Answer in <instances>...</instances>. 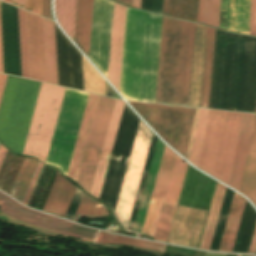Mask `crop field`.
<instances>
[{
    "label": "crop field",
    "mask_w": 256,
    "mask_h": 256,
    "mask_svg": "<svg viewBox=\"0 0 256 256\" xmlns=\"http://www.w3.org/2000/svg\"><path fill=\"white\" fill-rule=\"evenodd\" d=\"M162 16L127 8L120 93L154 102Z\"/></svg>",
    "instance_id": "1"
},
{
    "label": "crop field",
    "mask_w": 256,
    "mask_h": 256,
    "mask_svg": "<svg viewBox=\"0 0 256 256\" xmlns=\"http://www.w3.org/2000/svg\"><path fill=\"white\" fill-rule=\"evenodd\" d=\"M195 29L163 16L155 102L188 105Z\"/></svg>",
    "instance_id": "2"
},
{
    "label": "crop field",
    "mask_w": 256,
    "mask_h": 256,
    "mask_svg": "<svg viewBox=\"0 0 256 256\" xmlns=\"http://www.w3.org/2000/svg\"><path fill=\"white\" fill-rule=\"evenodd\" d=\"M40 84L7 77L0 103V140L15 153H22Z\"/></svg>",
    "instance_id": "3"
},
{
    "label": "crop field",
    "mask_w": 256,
    "mask_h": 256,
    "mask_svg": "<svg viewBox=\"0 0 256 256\" xmlns=\"http://www.w3.org/2000/svg\"><path fill=\"white\" fill-rule=\"evenodd\" d=\"M242 113L210 110L198 168L228 183Z\"/></svg>",
    "instance_id": "4"
},
{
    "label": "crop field",
    "mask_w": 256,
    "mask_h": 256,
    "mask_svg": "<svg viewBox=\"0 0 256 256\" xmlns=\"http://www.w3.org/2000/svg\"><path fill=\"white\" fill-rule=\"evenodd\" d=\"M65 89L41 84L22 154L46 162Z\"/></svg>",
    "instance_id": "5"
},
{
    "label": "crop field",
    "mask_w": 256,
    "mask_h": 256,
    "mask_svg": "<svg viewBox=\"0 0 256 256\" xmlns=\"http://www.w3.org/2000/svg\"><path fill=\"white\" fill-rule=\"evenodd\" d=\"M129 103L171 147L186 156L196 109Z\"/></svg>",
    "instance_id": "6"
},
{
    "label": "crop field",
    "mask_w": 256,
    "mask_h": 256,
    "mask_svg": "<svg viewBox=\"0 0 256 256\" xmlns=\"http://www.w3.org/2000/svg\"><path fill=\"white\" fill-rule=\"evenodd\" d=\"M87 95V93L66 89L46 162V164L57 166L64 175H66Z\"/></svg>",
    "instance_id": "7"
},
{
    "label": "crop field",
    "mask_w": 256,
    "mask_h": 256,
    "mask_svg": "<svg viewBox=\"0 0 256 256\" xmlns=\"http://www.w3.org/2000/svg\"><path fill=\"white\" fill-rule=\"evenodd\" d=\"M153 133L139 121L114 215L127 228Z\"/></svg>",
    "instance_id": "8"
},
{
    "label": "crop field",
    "mask_w": 256,
    "mask_h": 256,
    "mask_svg": "<svg viewBox=\"0 0 256 256\" xmlns=\"http://www.w3.org/2000/svg\"><path fill=\"white\" fill-rule=\"evenodd\" d=\"M115 99L99 97L76 182L90 193Z\"/></svg>",
    "instance_id": "9"
},
{
    "label": "crop field",
    "mask_w": 256,
    "mask_h": 256,
    "mask_svg": "<svg viewBox=\"0 0 256 256\" xmlns=\"http://www.w3.org/2000/svg\"><path fill=\"white\" fill-rule=\"evenodd\" d=\"M0 210L9 216H12L25 223L34 224L59 234H64L80 239L82 237L92 239L93 233L95 231L40 212L24 208L2 193H0Z\"/></svg>",
    "instance_id": "10"
},
{
    "label": "crop field",
    "mask_w": 256,
    "mask_h": 256,
    "mask_svg": "<svg viewBox=\"0 0 256 256\" xmlns=\"http://www.w3.org/2000/svg\"><path fill=\"white\" fill-rule=\"evenodd\" d=\"M113 3L94 0L89 58L106 77Z\"/></svg>",
    "instance_id": "11"
},
{
    "label": "crop field",
    "mask_w": 256,
    "mask_h": 256,
    "mask_svg": "<svg viewBox=\"0 0 256 256\" xmlns=\"http://www.w3.org/2000/svg\"><path fill=\"white\" fill-rule=\"evenodd\" d=\"M4 73L21 77L17 8L0 1Z\"/></svg>",
    "instance_id": "12"
},
{
    "label": "crop field",
    "mask_w": 256,
    "mask_h": 256,
    "mask_svg": "<svg viewBox=\"0 0 256 256\" xmlns=\"http://www.w3.org/2000/svg\"><path fill=\"white\" fill-rule=\"evenodd\" d=\"M188 164L176 156L154 239L167 242Z\"/></svg>",
    "instance_id": "13"
},
{
    "label": "crop field",
    "mask_w": 256,
    "mask_h": 256,
    "mask_svg": "<svg viewBox=\"0 0 256 256\" xmlns=\"http://www.w3.org/2000/svg\"><path fill=\"white\" fill-rule=\"evenodd\" d=\"M30 78L46 82L42 18L26 11Z\"/></svg>",
    "instance_id": "14"
},
{
    "label": "crop field",
    "mask_w": 256,
    "mask_h": 256,
    "mask_svg": "<svg viewBox=\"0 0 256 256\" xmlns=\"http://www.w3.org/2000/svg\"><path fill=\"white\" fill-rule=\"evenodd\" d=\"M126 8L114 3L107 79L119 91Z\"/></svg>",
    "instance_id": "15"
},
{
    "label": "crop field",
    "mask_w": 256,
    "mask_h": 256,
    "mask_svg": "<svg viewBox=\"0 0 256 256\" xmlns=\"http://www.w3.org/2000/svg\"><path fill=\"white\" fill-rule=\"evenodd\" d=\"M175 156L176 154L172 150H170L167 146H165L164 154L162 157V161L160 164L159 172L157 175L156 183H155L151 201H150L154 203H159L151 236L154 235V231L156 228V224H157V220H158L161 206L163 203L164 195H165L170 174L172 171ZM154 203L149 204L148 212H147L143 230H142L143 234L150 235L151 233V229H152V225H153V221H154V217H155V213L158 205Z\"/></svg>",
    "instance_id": "16"
},
{
    "label": "crop field",
    "mask_w": 256,
    "mask_h": 256,
    "mask_svg": "<svg viewBox=\"0 0 256 256\" xmlns=\"http://www.w3.org/2000/svg\"><path fill=\"white\" fill-rule=\"evenodd\" d=\"M125 103L116 99L90 195L99 198Z\"/></svg>",
    "instance_id": "17"
},
{
    "label": "crop field",
    "mask_w": 256,
    "mask_h": 256,
    "mask_svg": "<svg viewBox=\"0 0 256 256\" xmlns=\"http://www.w3.org/2000/svg\"><path fill=\"white\" fill-rule=\"evenodd\" d=\"M255 115L243 113L228 186L238 190Z\"/></svg>",
    "instance_id": "18"
},
{
    "label": "crop field",
    "mask_w": 256,
    "mask_h": 256,
    "mask_svg": "<svg viewBox=\"0 0 256 256\" xmlns=\"http://www.w3.org/2000/svg\"><path fill=\"white\" fill-rule=\"evenodd\" d=\"M98 97L99 96L97 95H91V94L88 95L86 107L84 110L83 118L81 121L79 133L77 136L75 148L73 151L72 159H71L68 174H67V176L72 178L73 180H76V176H77L79 165L83 155L84 147L86 144V140L90 130L96 104L98 101Z\"/></svg>",
    "instance_id": "19"
},
{
    "label": "crop field",
    "mask_w": 256,
    "mask_h": 256,
    "mask_svg": "<svg viewBox=\"0 0 256 256\" xmlns=\"http://www.w3.org/2000/svg\"><path fill=\"white\" fill-rule=\"evenodd\" d=\"M76 187L58 173L43 210L65 216Z\"/></svg>",
    "instance_id": "20"
},
{
    "label": "crop field",
    "mask_w": 256,
    "mask_h": 256,
    "mask_svg": "<svg viewBox=\"0 0 256 256\" xmlns=\"http://www.w3.org/2000/svg\"><path fill=\"white\" fill-rule=\"evenodd\" d=\"M239 192L247 196L256 206V117Z\"/></svg>",
    "instance_id": "21"
},
{
    "label": "crop field",
    "mask_w": 256,
    "mask_h": 256,
    "mask_svg": "<svg viewBox=\"0 0 256 256\" xmlns=\"http://www.w3.org/2000/svg\"><path fill=\"white\" fill-rule=\"evenodd\" d=\"M93 0H77L74 42L88 56Z\"/></svg>",
    "instance_id": "22"
},
{
    "label": "crop field",
    "mask_w": 256,
    "mask_h": 256,
    "mask_svg": "<svg viewBox=\"0 0 256 256\" xmlns=\"http://www.w3.org/2000/svg\"><path fill=\"white\" fill-rule=\"evenodd\" d=\"M246 200L234 193L219 251L232 252Z\"/></svg>",
    "instance_id": "23"
},
{
    "label": "crop field",
    "mask_w": 256,
    "mask_h": 256,
    "mask_svg": "<svg viewBox=\"0 0 256 256\" xmlns=\"http://www.w3.org/2000/svg\"><path fill=\"white\" fill-rule=\"evenodd\" d=\"M214 38H215V29L206 26L205 52H204L200 102H199V107H204V108H208V103H209V93H210V83H211L213 53H214Z\"/></svg>",
    "instance_id": "24"
},
{
    "label": "crop field",
    "mask_w": 256,
    "mask_h": 256,
    "mask_svg": "<svg viewBox=\"0 0 256 256\" xmlns=\"http://www.w3.org/2000/svg\"><path fill=\"white\" fill-rule=\"evenodd\" d=\"M205 26L197 24L189 106L198 107Z\"/></svg>",
    "instance_id": "25"
},
{
    "label": "crop field",
    "mask_w": 256,
    "mask_h": 256,
    "mask_svg": "<svg viewBox=\"0 0 256 256\" xmlns=\"http://www.w3.org/2000/svg\"><path fill=\"white\" fill-rule=\"evenodd\" d=\"M225 189L226 187L222 186L219 183H216L214 195L212 198L211 206L209 209L207 221L205 224L204 232H203L200 247H199L201 249H207V250L210 249V245L213 238L218 215L220 212Z\"/></svg>",
    "instance_id": "26"
},
{
    "label": "crop field",
    "mask_w": 256,
    "mask_h": 256,
    "mask_svg": "<svg viewBox=\"0 0 256 256\" xmlns=\"http://www.w3.org/2000/svg\"><path fill=\"white\" fill-rule=\"evenodd\" d=\"M251 0H230L228 30L248 34Z\"/></svg>",
    "instance_id": "27"
},
{
    "label": "crop field",
    "mask_w": 256,
    "mask_h": 256,
    "mask_svg": "<svg viewBox=\"0 0 256 256\" xmlns=\"http://www.w3.org/2000/svg\"><path fill=\"white\" fill-rule=\"evenodd\" d=\"M47 82L57 85L54 23L43 18Z\"/></svg>",
    "instance_id": "28"
},
{
    "label": "crop field",
    "mask_w": 256,
    "mask_h": 256,
    "mask_svg": "<svg viewBox=\"0 0 256 256\" xmlns=\"http://www.w3.org/2000/svg\"><path fill=\"white\" fill-rule=\"evenodd\" d=\"M76 0H55V15L62 29L73 40Z\"/></svg>",
    "instance_id": "29"
},
{
    "label": "crop field",
    "mask_w": 256,
    "mask_h": 256,
    "mask_svg": "<svg viewBox=\"0 0 256 256\" xmlns=\"http://www.w3.org/2000/svg\"><path fill=\"white\" fill-rule=\"evenodd\" d=\"M38 161L25 158L10 195L22 201Z\"/></svg>",
    "instance_id": "30"
},
{
    "label": "crop field",
    "mask_w": 256,
    "mask_h": 256,
    "mask_svg": "<svg viewBox=\"0 0 256 256\" xmlns=\"http://www.w3.org/2000/svg\"><path fill=\"white\" fill-rule=\"evenodd\" d=\"M96 242L126 244V245H132V246H137L141 248L156 250L162 253L165 252L168 246L164 244L149 243V242H145V241H141L133 238L112 235L102 231H100Z\"/></svg>",
    "instance_id": "31"
},
{
    "label": "crop field",
    "mask_w": 256,
    "mask_h": 256,
    "mask_svg": "<svg viewBox=\"0 0 256 256\" xmlns=\"http://www.w3.org/2000/svg\"><path fill=\"white\" fill-rule=\"evenodd\" d=\"M84 90L106 95L105 80L82 56Z\"/></svg>",
    "instance_id": "32"
},
{
    "label": "crop field",
    "mask_w": 256,
    "mask_h": 256,
    "mask_svg": "<svg viewBox=\"0 0 256 256\" xmlns=\"http://www.w3.org/2000/svg\"><path fill=\"white\" fill-rule=\"evenodd\" d=\"M198 0H169L168 15L196 21Z\"/></svg>",
    "instance_id": "33"
},
{
    "label": "crop field",
    "mask_w": 256,
    "mask_h": 256,
    "mask_svg": "<svg viewBox=\"0 0 256 256\" xmlns=\"http://www.w3.org/2000/svg\"><path fill=\"white\" fill-rule=\"evenodd\" d=\"M209 110L200 109L189 161L198 165Z\"/></svg>",
    "instance_id": "34"
},
{
    "label": "crop field",
    "mask_w": 256,
    "mask_h": 256,
    "mask_svg": "<svg viewBox=\"0 0 256 256\" xmlns=\"http://www.w3.org/2000/svg\"><path fill=\"white\" fill-rule=\"evenodd\" d=\"M256 223V211L248 204L243 228L236 252L247 253Z\"/></svg>",
    "instance_id": "35"
},
{
    "label": "crop field",
    "mask_w": 256,
    "mask_h": 256,
    "mask_svg": "<svg viewBox=\"0 0 256 256\" xmlns=\"http://www.w3.org/2000/svg\"><path fill=\"white\" fill-rule=\"evenodd\" d=\"M80 215H87L89 217L110 216L106 207L86 194H83L73 220L77 222Z\"/></svg>",
    "instance_id": "36"
},
{
    "label": "crop field",
    "mask_w": 256,
    "mask_h": 256,
    "mask_svg": "<svg viewBox=\"0 0 256 256\" xmlns=\"http://www.w3.org/2000/svg\"><path fill=\"white\" fill-rule=\"evenodd\" d=\"M22 77L29 78L25 11L18 8Z\"/></svg>",
    "instance_id": "37"
},
{
    "label": "crop field",
    "mask_w": 256,
    "mask_h": 256,
    "mask_svg": "<svg viewBox=\"0 0 256 256\" xmlns=\"http://www.w3.org/2000/svg\"><path fill=\"white\" fill-rule=\"evenodd\" d=\"M156 139H157V137L155 135H153V139H152V142H151L150 150H149V153H148V157H147V160H146V164H145V167H144L143 175H142V178H141V182H140V185H139L138 193H137V196H136V200H135V203H134V207H133L131 218H130L129 225H128V230H131V231L133 230L135 218H136L138 207H139V203H140V200H141V196H142L144 184H145V181H146L148 169H149V166H150L152 154H153V151H154Z\"/></svg>",
    "instance_id": "38"
},
{
    "label": "crop field",
    "mask_w": 256,
    "mask_h": 256,
    "mask_svg": "<svg viewBox=\"0 0 256 256\" xmlns=\"http://www.w3.org/2000/svg\"><path fill=\"white\" fill-rule=\"evenodd\" d=\"M219 1L205 0L203 23L218 28Z\"/></svg>",
    "instance_id": "39"
},
{
    "label": "crop field",
    "mask_w": 256,
    "mask_h": 256,
    "mask_svg": "<svg viewBox=\"0 0 256 256\" xmlns=\"http://www.w3.org/2000/svg\"><path fill=\"white\" fill-rule=\"evenodd\" d=\"M42 166H43V164L38 163L37 168H36V170H35V172H34V175H33V177H32V180H31V182H30V184H29V187H28V189H27V192H26V194H25V196H24V199H23V201H22V202L25 203V204H28V202H29V199H30V197H31L32 191H33V189H34V186H35V184H36V181H37V179H38V176H39V173H40V171H41Z\"/></svg>",
    "instance_id": "40"
},
{
    "label": "crop field",
    "mask_w": 256,
    "mask_h": 256,
    "mask_svg": "<svg viewBox=\"0 0 256 256\" xmlns=\"http://www.w3.org/2000/svg\"><path fill=\"white\" fill-rule=\"evenodd\" d=\"M249 34L256 35V0L251 1Z\"/></svg>",
    "instance_id": "41"
},
{
    "label": "crop field",
    "mask_w": 256,
    "mask_h": 256,
    "mask_svg": "<svg viewBox=\"0 0 256 256\" xmlns=\"http://www.w3.org/2000/svg\"><path fill=\"white\" fill-rule=\"evenodd\" d=\"M42 16L52 20L50 15V0H43Z\"/></svg>",
    "instance_id": "42"
},
{
    "label": "crop field",
    "mask_w": 256,
    "mask_h": 256,
    "mask_svg": "<svg viewBox=\"0 0 256 256\" xmlns=\"http://www.w3.org/2000/svg\"><path fill=\"white\" fill-rule=\"evenodd\" d=\"M42 0H33L32 12L41 16Z\"/></svg>",
    "instance_id": "43"
},
{
    "label": "crop field",
    "mask_w": 256,
    "mask_h": 256,
    "mask_svg": "<svg viewBox=\"0 0 256 256\" xmlns=\"http://www.w3.org/2000/svg\"><path fill=\"white\" fill-rule=\"evenodd\" d=\"M248 253H255L256 254V227H255V230H254L253 238H252L251 245H250Z\"/></svg>",
    "instance_id": "44"
},
{
    "label": "crop field",
    "mask_w": 256,
    "mask_h": 256,
    "mask_svg": "<svg viewBox=\"0 0 256 256\" xmlns=\"http://www.w3.org/2000/svg\"><path fill=\"white\" fill-rule=\"evenodd\" d=\"M198 111H199V109H197V111H196L195 120H194V124H193V129H192V134H191V138H190V143H189V147H188V152H187L186 159L189 158V153H190V149H191L193 134H194L195 125H196V120H197V116H198Z\"/></svg>",
    "instance_id": "45"
},
{
    "label": "crop field",
    "mask_w": 256,
    "mask_h": 256,
    "mask_svg": "<svg viewBox=\"0 0 256 256\" xmlns=\"http://www.w3.org/2000/svg\"><path fill=\"white\" fill-rule=\"evenodd\" d=\"M203 7H204V0H199V9H198V17H197V21L199 22H202Z\"/></svg>",
    "instance_id": "46"
},
{
    "label": "crop field",
    "mask_w": 256,
    "mask_h": 256,
    "mask_svg": "<svg viewBox=\"0 0 256 256\" xmlns=\"http://www.w3.org/2000/svg\"><path fill=\"white\" fill-rule=\"evenodd\" d=\"M151 7H152V0H142V5H141L142 9L151 11Z\"/></svg>",
    "instance_id": "47"
},
{
    "label": "crop field",
    "mask_w": 256,
    "mask_h": 256,
    "mask_svg": "<svg viewBox=\"0 0 256 256\" xmlns=\"http://www.w3.org/2000/svg\"><path fill=\"white\" fill-rule=\"evenodd\" d=\"M6 75H2L0 74V99H1V96H2V92H3V88H4V85H5V81H6Z\"/></svg>",
    "instance_id": "48"
},
{
    "label": "crop field",
    "mask_w": 256,
    "mask_h": 256,
    "mask_svg": "<svg viewBox=\"0 0 256 256\" xmlns=\"http://www.w3.org/2000/svg\"><path fill=\"white\" fill-rule=\"evenodd\" d=\"M0 72L3 73V64H2V46H1V28H0Z\"/></svg>",
    "instance_id": "49"
},
{
    "label": "crop field",
    "mask_w": 256,
    "mask_h": 256,
    "mask_svg": "<svg viewBox=\"0 0 256 256\" xmlns=\"http://www.w3.org/2000/svg\"><path fill=\"white\" fill-rule=\"evenodd\" d=\"M11 3L24 9V0H11Z\"/></svg>",
    "instance_id": "50"
},
{
    "label": "crop field",
    "mask_w": 256,
    "mask_h": 256,
    "mask_svg": "<svg viewBox=\"0 0 256 256\" xmlns=\"http://www.w3.org/2000/svg\"><path fill=\"white\" fill-rule=\"evenodd\" d=\"M6 151H7V149L5 147H3L2 145H0V165L2 163V160L4 158Z\"/></svg>",
    "instance_id": "51"
},
{
    "label": "crop field",
    "mask_w": 256,
    "mask_h": 256,
    "mask_svg": "<svg viewBox=\"0 0 256 256\" xmlns=\"http://www.w3.org/2000/svg\"><path fill=\"white\" fill-rule=\"evenodd\" d=\"M167 6H168V0H163V9L162 13L167 15Z\"/></svg>",
    "instance_id": "52"
},
{
    "label": "crop field",
    "mask_w": 256,
    "mask_h": 256,
    "mask_svg": "<svg viewBox=\"0 0 256 256\" xmlns=\"http://www.w3.org/2000/svg\"><path fill=\"white\" fill-rule=\"evenodd\" d=\"M32 0H25V9L31 12Z\"/></svg>",
    "instance_id": "53"
},
{
    "label": "crop field",
    "mask_w": 256,
    "mask_h": 256,
    "mask_svg": "<svg viewBox=\"0 0 256 256\" xmlns=\"http://www.w3.org/2000/svg\"><path fill=\"white\" fill-rule=\"evenodd\" d=\"M114 1H117V2H119L121 4L126 5V6H131V1L132 0H114Z\"/></svg>",
    "instance_id": "54"
},
{
    "label": "crop field",
    "mask_w": 256,
    "mask_h": 256,
    "mask_svg": "<svg viewBox=\"0 0 256 256\" xmlns=\"http://www.w3.org/2000/svg\"><path fill=\"white\" fill-rule=\"evenodd\" d=\"M141 0H133L132 6L140 8Z\"/></svg>",
    "instance_id": "55"
},
{
    "label": "crop field",
    "mask_w": 256,
    "mask_h": 256,
    "mask_svg": "<svg viewBox=\"0 0 256 256\" xmlns=\"http://www.w3.org/2000/svg\"><path fill=\"white\" fill-rule=\"evenodd\" d=\"M237 111H241V110H237ZM241 112H251V111H241ZM251 113H255V112H251Z\"/></svg>",
    "instance_id": "56"
},
{
    "label": "crop field",
    "mask_w": 256,
    "mask_h": 256,
    "mask_svg": "<svg viewBox=\"0 0 256 256\" xmlns=\"http://www.w3.org/2000/svg\"><path fill=\"white\" fill-rule=\"evenodd\" d=\"M5 2H9L10 3V0H4Z\"/></svg>",
    "instance_id": "57"
},
{
    "label": "crop field",
    "mask_w": 256,
    "mask_h": 256,
    "mask_svg": "<svg viewBox=\"0 0 256 256\" xmlns=\"http://www.w3.org/2000/svg\"><path fill=\"white\" fill-rule=\"evenodd\" d=\"M3 1V0H2Z\"/></svg>",
    "instance_id": "58"
}]
</instances>
